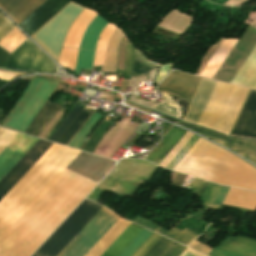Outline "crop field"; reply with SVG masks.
Segmentation results:
<instances>
[{
    "mask_svg": "<svg viewBox=\"0 0 256 256\" xmlns=\"http://www.w3.org/2000/svg\"><path fill=\"white\" fill-rule=\"evenodd\" d=\"M101 207L85 199L32 256H56ZM100 210L120 218L105 207ZM100 210L78 233L82 237L76 235L57 256H64L79 238L65 256H84L110 229L117 220Z\"/></svg>",
    "mask_w": 256,
    "mask_h": 256,
    "instance_id": "crop-field-1",
    "label": "crop field"
},
{
    "mask_svg": "<svg viewBox=\"0 0 256 256\" xmlns=\"http://www.w3.org/2000/svg\"><path fill=\"white\" fill-rule=\"evenodd\" d=\"M174 170L256 192V168L201 138Z\"/></svg>",
    "mask_w": 256,
    "mask_h": 256,
    "instance_id": "crop-field-2",
    "label": "crop field"
},
{
    "mask_svg": "<svg viewBox=\"0 0 256 256\" xmlns=\"http://www.w3.org/2000/svg\"><path fill=\"white\" fill-rule=\"evenodd\" d=\"M156 166L138 159H122L117 166L99 183L88 198L97 202L102 190L133 197L150 177ZM100 194V193H99Z\"/></svg>",
    "mask_w": 256,
    "mask_h": 256,
    "instance_id": "crop-field-3",
    "label": "crop field"
},
{
    "mask_svg": "<svg viewBox=\"0 0 256 256\" xmlns=\"http://www.w3.org/2000/svg\"><path fill=\"white\" fill-rule=\"evenodd\" d=\"M57 84L53 80L33 76L2 127L23 133Z\"/></svg>",
    "mask_w": 256,
    "mask_h": 256,
    "instance_id": "crop-field-4",
    "label": "crop field"
},
{
    "mask_svg": "<svg viewBox=\"0 0 256 256\" xmlns=\"http://www.w3.org/2000/svg\"><path fill=\"white\" fill-rule=\"evenodd\" d=\"M202 78L193 75L172 71L163 82L157 87V90L177 96L179 99L189 102L197 90ZM152 108L168 113L180 118L178 114L179 106L171 99L153 106Z\"/></svg>",
    "mask_w": 256,
    "mask_h": 256,
    "instance_id": "crop-field-5",
    "label": "crop field"
},
{
    "mask_svg": "<svg viewBox=\"0 0 256 256\" xmlns=\"http://www.w3.org/2000/svg\"><path fill=\"white\" fill-rule=\"evenodd\" d=\"M5 68L48 73L54 71L55 63L27 38L11 53Z\"/></svg>",
    "mask_w": 256,
    "mask_h": 256,
    "instance_id": "crop-field-6",
    "label": "crop field"
},
{
    "mask_svg": "<svg viewBox=\"0 0 256 256\" xmlns=\"http://www.w3.org/2000/svg\"><path fill=\"white\" fill-rule=\"evenodd\" d=\"M52 143L39 139L20 161L0 181V200L46 152Z\"/></svg>",
    "mask_w": 256,
    "mask_h": 256,
    "instance_id": "crop-field-7",
    "label": "crop field"
},
{
    "mask_svg": "<svg viewBox=\"0 0 256 256\" xmlns=\"http://www.w3.org/2000/svg\"><path fill=\"white\" fill-rule=\"evenodd\" d=\"M115 161L80 152L67 169L99 182Z\"/></svg>",
    "mask_w": 256,
    "mask_h": 256,
    "instance_id": "crop-field-8",
    "label": "crop field"
},
{
    "mask_svg": "<svg viewBox=\"0 0 256 256\" xmlns=\"http://www.w3.org/2000/svg\"><path fill=\"white\" fill-rule=\"evenodd\" d=\"M69 2L70 0H46L18 25L31 36Z\"/></svg>",
    "mask_w": 256,
    "mask_h": 256,
    "instance_id": "crop-field-9",
    "label": "crop field"
},
{
    "mask_svg": "<svg viewBox=\"0 0 256 256\" xmlns=\"http://www.w3.org/2000/svg\"><path fill=\"white\" fill-rule=\"evenodd\" d=\"M37 138L18 134L13 141L0 153V179L16 164L31 148Z\"/></svg>",
    "mask_w": 256,
    "mask_h": 256,
    "instance_id": "crop-field-10",
    "label": "crop field"
},
{
    "mask_svg": "<svg viewBox=\"0 0 256 256\" xmlns=\"http://www.w3.org/2000/svg\"><path fill=\"white\" fill-rule=\"evenodd\" d=\"M230 135L256 139V91H250Z\"/></svg>",
    "mask_w": 256,
    "mask_h": 256,
    "instance_id": "crop-field-11",
    "label": "crop field"
},
{
    "mask_svg": "<svg viewBox=\"0 0 256 256\" xmlns=\"http://www.w3.org/2000/svg\"><path fill=\"white\" fill-rule=\"evenodd\" d=\"M209 256H256V241L246 237H224Z\"/></svg>",
    "mask_w": 256,
    "mask_h": 256,
    "instance_id": "crop-field-12",
    "label": "crop field"
},
{
    "mask_svg": "<svg viewBox=\"0 0 256 256\" xmlns=\"http://www.w3.org/2000/svg\"><path fill=\"white\" fill-rule=\"evenodd\" d=\"M162 236L153 233L146 242L132 255L144 256ZM177 243L162 237L145 256H167ZM186 247L178 244L168 256H179Z\"/></svg>",
    "mask_w": 256,
    "mask_h": 256,
    "instance_id": "crop-field-13",
    "label": "crop field"
},
{
    "mask_svg": "<svg viewBox=\"0 0 256 256\" xmlns=\"http://www.w3.org/2000/svg\"><path fill=\"white\" fill-rule=\"evenodd\" d=\"M216 83V81L202 79L188 113L186 112L185 121L198 123Z\"/></svg>",
    "mask_w": 256,
    "mask_h": 256,
    "instance_id": "crop-field-14",
    "label": "crop field"
},
{
    "mask_svg": "<svg viewBox=\"0 0 256 256\" xmlns=\"http://www.w3.org/2000/svg\"><path fill=\"white\" fill-rule=\"evenodd\" d=\"M45 0H0L2 9L17 24Z\"/></svg>",
    "mask_w": 256,
    "mask_h": 256,
    "instance_id": "crop-field-15",
    "label": "crop field"
},
{
    "mask_svg": "<svg viewBox=\"0 0 256 256\" xmlns=\"http://www.w3.org/2000/svg\"><path fill=\"white\" fill-rule=\"evenodd\" d=\"M185 133L186 131L172 126L161 143L149 153L146 159L159 165Z\"/></svg>",
    "mask_w": 256,
    "mask_h": 256,
    "instance_id": "crop-field-16",
    "label": "crop field"
},
{
    "mask_svg": "<svg viewBox=\"0 0 256 256\" xmlns=\"http://www.w3.org/2000/svg\"><path fill=\"white\" fill-rule=\"evenodd\" d=\"M97 14L84 10L73 22L63 46L79 48V43L89 23Z\"/></svg>",
    "mask_w": 256,
    "mask_h": 256,
    "instance_id": "crop-field-17",
    "label": "crop field"
},
{
    "mask_svg": "<svg viewBox=\"0 0 256 256\" xmlns=\"http://www.w3.org/2000/svg\"><path fill=\"white\" fill-rule=\"evenodd\" d=\"M59 108L60 105L45 102L24 133L38 137Z\"/></svg>",
    "mask_w": 256,
    "mask_h": 256,
    "instance_id": "crop-field-18",
    "label": "crop field"
},
{
    "mask_svg": "<svg viewBox=\"0 0 256 256\" xmlns=\"http://www.w3.org/2000/svg\"><path fill=\"white\" fill-rule=\"evenodd\" d=\"M142 229L131 223L101 256H118Z\"/></svg>",
    "mask_w": 256,
    "mask_h": 256,
    "instance_id": "crop-field-19",
    "label": "crop field"
},
{
    "mask_svg": "<svg viewBox=\"0 0 256 256\" xmlns=\"http://www.w3.org/2000/svg\"><path fill=\"white\" fill-rule=\"evenodd\" d=\"M223 203L256 210V193L230 187Z\"/></svg>",
    "mask_w": 256,
    "mask_h": 256,
    "instance_id": "crop-field-20",
    "label": "crop field"
},
{
    "mask_svg": "<svg viewBox=\"0 0 256 256\" xmlns=\"http://www.w3.org/2000/svg\"><path fill=\"white\" fill-rule=\"evenodd\" d=\"M236 41L237 39H224L214 56L201 73V76L212 79Z\"/></svg>",
    "mask_w": 256,
    "mask_h": 256,
    "instance_id": "crop-field-21",
    "label": "crop field"
},
{
    "mask_svg": "<svg viewBox=\"0 0 256 256\" xmlns=\"http://www.w3.org/2000/svg\"><path fill=\"white\" fill-rule=\"evenodd\" d=\"M107 23L108 22L97 15L96 18L88 26L80 43V48L95 50L97 38Z\"/></svg>",
    "mask_w": 256,
    "mask_h": 256,
    "instance_id": "crop-field-22",
    "label": "crop field"
},
{
    "mask_svg": "<svg viewBox=\"0 0 256 256\" xmlns=\"http://www.w3.org/2000/svg\"><path fill=\"white\" fill-rule=\"evenodd\" d=\"M125 35L120 30H116L114 35L112 36L106 51V59H105V66L104 70L106 72H115L116 67V57H117V50L119 47L120 40Z\"/></svg>",
    "mask_w": 256,
    "mask_h": 256,
    "instance_id": "crop-field-23",
    "label": "crop field"
},
{
    "mask_svg": "<svg viewBox=\"0 0 256 256\" xmlns=\"http://www.w3.org/2000/svg\"><path fill=\"white\" fill-rule=\"evenodd\" d=\"M156 232L167 236L175 241H178L186 246H188L196 237H198L199 235L191 232L188 229H184L182 231L172 227L169 231L164 229L163 227H159Z\"/></svg>",
    "mask_w": 256,
    "mask_h": 256,
    "instance_id": "crop-field-24",
    "label": "crop field"
},
{
    "mask_svg": "<svg viewBox=\"0 0 256 256\" xmlns=\"http://www.w3.org/2000/svg\"><path fill=\"white\" fill-rule=\"evenodd\" d=\"M157 66L149 62L141 52L135 50L132 77L146 76Z\"/></svg>",
    "mask_w": 256,
    "mask_h": 256,
    "instance_id": "crop-field-25",
    "label": "crop field"
},
{
    "mask_svg": "<svg viewBox=\"0 0 256 256\" xmlns=\"http://www.w3.org/2000/svg\"><path fill=\"white\" fill-rule=\"evenodd\" d=\"M91 112L83 109L82 112L78 115V117L71 123V125L67 128V130L62 134L57 143L67 145L68 142L73 138V136L78 132V130L82 127L84 122L90 116Z\"/></svg>",
    "mask_w": 256,
    "mask_h": 256,
    "instance_id": "crop-field-26",
    "label": "crop field"
},
{
    "mask_svg": "<svg viewBox=\"0 0 256 256\" xmlns=\"http://www.w3.org/2000/svg\"><path fill=\"white\" fill-rule=\"evenodd\" d=\"M230 149L256 164V143L235 140Z\"/></svg>",
    "mask_w": 256,
    "mask_h": 256,
    "instance_id": "crop-field-27",
    "label": "crop field"
},
{
    "mask_svg": "<svg viewBox=\"0 0 256 256\" xmlns=\"http://www.w3.org/2000/svg\"><path fill=\"white\" fill-rule=\"evenodd\" d=\"M26 38L27 37L24 34H22L16 27L2 41H0V47L4 48L5 50L11 53Z\"/></svg>",
    "mask_w": 256,
    "mask_h": 256,
    "instance_id": "crop-field-28",
    "label": "crop field"
},
{
    "mask_svg": "<svg viewBox=\"0 0 256 256\" xmlns=\"http://www.w3.org/2000/svg\"><path fill=\"white\" fill-rule=\"evenodd\" d=\"M101 117V115L97 113H93L87 123L83 126V128L78 132V134L72 139L69 143V146H73L79 148L85 139L86 135L91 131L93 125L97 122V120Z\"/></svg>",
    "mask_w": 256,
    "mask_h": 256,
    "instance_id": "crop-field-29",
    "label": "crop field"
},
{
    "mask_svg": "<svg viewBox=\"0 0 256 256\" xmlns=\"http://www.w3.org/2000/svg\"><path fill=\"white\" fill-rule=\"evenodd\" d=\"M95 52L79 50L78 59L75 67V74L79 75L81 68L91 69L94 61Z\"/></svg>",
    "mask_w": 256,
    "mask_h": 256,
    "instance_id": "crop-field-30",
    "label": "crop field"
},
{
    "mask_svg": "<svg viewBox=\"0 0 256 256\" xmlns=\"http://www.w3.org/2000/svg\"><path fill=\"white\" fill-rule=\"evenodd\" d=\"M82 108L75 106L71 112L68 114V116L65 118V120L62 122V124L59 126V128L54 132V134L48 139L50 141L56 142L57 139L61 136V134L64 132V130L68 127V125L74 120V118L81 112Z\"/></svg>",
    "mask_w": 256,
    "mask_h": 256,
    "instance_id": "crop-field-31",
    "label": "crop field"
},
{
    "mask_svg": "<svg viewBox=\"0 0 256 256\" xmlns=\"http://www.w3.org/2000/svg\"><path fill=\"white\" fill-rule=\"evenodd\" d=\"M77 52L78 50L75 49L63 48L60 54L59 64L74 70Z\"/></svg>",
    "mask_w": 256,
    "mask_h": 256,
    "instance_id": "crop-field-32",
    "label": "crop field"
},
{
    "mask_svg": "<svg viewBox=\"0 0 256 256\" xmlns=\"http://www.w3.org/2000/svg\"><path fill=\"white\" fill-rule=\"evenodd\" d=\"M151 233V231L144 228L119 256H131Z\"/></svg>",
    "mask_w": 256,
    "mask_h": 256,
    "instance_id": "crop-field-33",
    "label": "crop field"
},
{
    "mask_svg": "<svg viewBox=\"0 0 256 256\" xmlns=\"http://www.w3.org/2000/svg\"><path fill=\"white\" fill-rule=\"evenodd\" d=\"M116 28V26L110 23L107 24V26L102 30L98 38L96 50L105 52L108 40L111 37L112 33L116 30Z\"/></svg>",
    "mask_w": 256,
    "mask_h": 256,
    "instance_id": "crop-field-34",
    "label": "crop field"
},
{
    "mask_svg": "<svg viewBox=\"0 0 256 256\" xmlns=\"http://www.w3.org/2000/svg\"><path fill=\"white\" fill-rule=\"evenodd\" d=\"M177 124H179L181 126H184V127L188 128V129H191V130H193L195 132H198V133H200V134H202V135H204V136H206V137H208V138H210V139L220 143L221 145H223V146H225L227 148L229 147V145L233 141L232 139H226L224 137H221V136H218V135H215V134H212V133L200 130V129L194 127V126L182 124V123H179V122Z\"/></svg>",
    "mask_w": 256,
    "mask_h": 256,
    "instance_id": "crop-field-35",
    "label": "crop field"
},
{
    "mask_svg": "<svg viewBox=\"0 0 256 256\" xmlns=\"http://www.w3.org/2000/svg\"><path fill=\"white\" fill-rule=\"evenodd\" d=\"M199 139L197 136H193L191 140L184 146V148L177 154V156L170 162L167 168L173 169L180 159L187 153V151L196 143Z\"/></svg>",
    "mask_w": 256,
    "mask_h": 256,
    "instance_id": "crop-field-36",
    "label": "crop field"
},
{
    "mask_svg": "<svg viewBox=\"0 0 256 256\" xmlns=\"http://www.w3.org/2000/svg\"><path fill=\"white\" fill-rule=\"evenodd\" d=\"M132 43L127 46L126 49V65H125V71H124V76L123 79L129 80L131 77V70H132V58H133V48H132Z\"/></svg>",
    "mask_w": 256,
    "mask_h": 256,
    "instance_id": "crop-field-37",
    "label": "crop field"
},
{
    "mask_svg": "<svg viewBox=\"0 0 256 256\" xmlns=\"http://www.w3.org/2000/svg\"><path fill=\"white\" fill-rule=\"evenodd\" d=\"M17 133L0 128V152L10 143Z\"/></svg>",
    "mask_w": 256,
    "mask_h": 256,
    "instance_id": "crop-field-38",
    "label": "crop field"
},
{
    "mask_svg": "<svg viewBox=\"0 0 256 256\" xmlns=\"http://www.w3.org/2000/svg\"><path fill=\"white\" fill-rule=\"evenodd\" d=\"M16 26L0 13V40L3 39Z\"/></svg>",
    "mask_w": 256,
    "mask_h": 256,
    "instance_id": "crop-field-39",
    "label": "crop field"
},
{
    "mask_svg": "<svg viewBox=\"0 0 256 256\" xmlns=\"http://www.w3.org/2000/svg\"><path fill=\"white\" fill-rule=\"evenodd\" d=\"M228 188L229 187H224V186L221 187V189L219 190V192H218V194H217V196H216V198H215L211 208L217 209L220 206V204H221V202H222V200H223V198H224Z\"/></svg>",
    "mask_w": 256,
    "mask_h": 256,
    "instance_id": "crop-field-40",
    "label": "crop field"
},
{
    "mask_svg": "<svg viewBox=\"0 0 256 256\" xmlns=\"http://www.w3.org/2000/svg\"><path fill=\"white\" fill-rule=\"evenodd\" d=\"M190 247H192V248H194V249H196V250H198V251H200L204 254H208L212 250V248H210V247H208V246H206V245H204V244H202V243H200L196 240L191 243Z\"/></svg>",
    "mask_w": 256,
    "mask_h": 256,
    "instance_id": "crop-field-41",
    "label": "crop field"
},
{
    "mask_svg": "<svg viewBox=\"0 0 256 256\" xmlns=\"http://www.w3.org/2000/svg\"><path fill=\"white\" fill-rule=\"evenodd\" d=\"M214 187H215V184H212L210 182L208 183V185H207V187H206V189H205V191H204V193L202 195V198H201V200L203 202L202 206L206 205V203H207V201H208V199H209V197H210Z\"/></svg>",
    "mask_w": 256,
    "mask_h": 256,
    "instance_id": "crop-field-42",
    "label": "crop field"
},
{
    "mask_svg": "<svg viewBox=\"0 0 256 256\" xmlns=\"http://www.w3.org/2000/svg\"><path fill=\"white\" fill-rule=\"evenodd\" d=\"M172 65L173 64L163 65L159 70L154 82L159 83V81L164 77V75L170 70Z\"/></svg>",
    "mask_w": 256,
    "mask_h": 256,
    "instance_id": "crop-field-43",
    "label": "crop field"
},
{
    "mask_svg": "<svg viewBox=\"0 0 256 256\" xmlns=\"http://www.w3.org/2000/svg\"><path fill=\"white\" fill-rule=\"evenodd\" d=\"M17 75H21L20 73H13V72H7V71H1L0 70V78L6 81L12 80Z\"/></svg>",
    "mask_w": 256,
    "mask_h": 256,
    "instance_id": "crop-field-44",
    "label": "crop field"
},
{
    "mask_svg": "<svg viewBox=\"0 0 256 256\" xmlns=\"http://www.w3.org/2000/svg\"><path fill=\"white\" fill-rule=\"evenodd\" d=\"M104 58H105V53L96 52L95 61L93 65H103Z\"/></svg>",
    "mask_w": 256,
    "mask_h": 256,
    "instance_id": "crop-field-45",
    "label": "crop field"
},
{
    "mask_svg": "<svg viewBox=\"0 0 256 256\" xmlns=\"http://www.w3.org/2000/svg\"><path fill=\"white\" fill-rule=\"evenodd\" d=\"M201 183H202V180L194 178V180L190 186V189H192V193L196 192V190L198 189V187L200 186Z\"/></svg>",
    "mask_w": 256,
    "mask_h": 256,
    "instance_id": "crop-field-46",
    "label": "crop field"
},
{
    "mask_svg": "<svg viewBox=\"0 0 256 256\" xmlns=\"http://www.w3.org/2000/svg\"><path fill=\"white\" fill-rule=\"evenodd\" d=\"M8 53L0 48V67L3 68L7 59Z\"/></svg>",
    "mask_w": 256,
    "mask_h": 256,
    "instance_id": "crop-field-47",
    "label": "crop field"
},
{
    "mask_svg": "<svg viewBox=\"0 0 256 256\" xmlns=\"http://www.w3.org/2000/svg\"><path fill=\"white\" fill-rule=\"evenodd\" d=\"M219 188H220V186H219V185H216V187H215V189H214V191H213V193H212V195H211V197H210V199H209V201H208V203H207V206H206V208H205L206 211L210 208L211 203H212V201H213L215 195L217 194Z\"/></svg>",
    "mask_w": 256,
    "mask_h": 256,
    "instance_id": "crop-field-48",
    "label": "crop field"
},
{
    "mask_svg": "<svg viewBox=\"0 0 256 256\" xmlns=\"http://www.w3.org/2000/svg\"><path fill=\"white\" fill-rule=\"evenodd\" d=\"M206 184H207V182H204V181H203V183L201 184V186L199 187V189H198V191H197V193H196L197 195H199V196L202 195V192H203V190H204Z\"/></svg>",
    "mask_w": 256,
    "mask_h": 256,
    "instance_id": "crop-field-49",
    "label": "crop field"
},
{
    "mask_svg": "<svg viewBox=\"0 0 256 256\" xmlns=\"http://www.w3.org/2000/svg\"><path fill=\"white\" fill-rule=\"evenodd\" d=\"M162 118H163V119H167V120H169V121H171V122H173V123L177 122V121H175V120H173V119H170V118H168V117H165V116H163Z\"/></svg>",
    "mask_w": 256,
    "mask_h": 256,
    "instance_id": "crop-field-50",
    "label": "crop field"
}]
</instances>
